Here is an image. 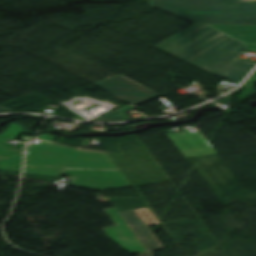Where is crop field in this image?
<instances>
[{
  "label": "crop field",
  "mask_w": 256,
  "mask_h": 256,
  "mask_svg": "<svg viewBox=\"0 0 256 256\" xmlns=\"http://www.w3.org/2000/svg\"><path fill=\"white\" fill-rule=\"evenodd\" d=\"M9 158H10V157L0 156V162H1V159L7 160V159H9Z\"/></svg>",
  "instance_id": "crop-field-13"
},
{
  "label": "crop field",
  "mask_w": 256,
  "mask_h": 256,
  "mask_svg": "<svg viewBox=\"0 0 256 256\" xmlns=\"http://www.w3.org/2000/svg\"><path fill=\"white\" fill-rule=\"evenodd\" d=\"M76 151L95 152V151L83 150V149H79V148H77ZM99 153H106V152H99Z\"/></svg>",
  "instance_id": "crop-field-12"
},
{
  "label": "crop field",
  "mask_w": 256,
  "mask_h": 256,
  "mask_svg": "<svg viewBox=\"0 0 256 256\" xmlns=\"http://www.w3.org/2000/svg\"><path fill=\"white\" fill-rule=\"evenodd\" d=\"M184 158L217 154L206 139L173 143Z\"/></svg>",
  "instance_id": "crop-field-9"
},
{
  "label": "crop field",
  "mask_w": 256,
  "mask_h": 256,
  "mask_svg": "<svg viewBox=\"0 0 256 256\" xmlns=\"http://www.w3.org/2000/svg\"><path fill=\"white\" fill-rule=\"evenodd\" d=\"M93 85L133 106L161 96L123 76Z\"/></svg>",
  "instance_id": "crop-field-5"
},
{
  "label": "crop field",
  "mask_w": 256,
  "mask_h": 256,
  "mask_svg": "<svg viewBox=\"0 0 256 256\" xmlns=\"http://www.w3.org/2000/svg\"><path fill=\"white\" fill-rule=\"evenodd\" d=\"M151 6L193 23L256 25V1L151 0Z\"/></svg>",
  "instance_id": "crop-field-2"
},
{
  "label": "crop field",
  "mask_w": 256,
  "mask_h": 256,
  "mask_svg": "<svg viewBox=\"0 0 256 256\" xmlns=\"http://www.w3.org/2000/svg\"><path fill=\"white\" fill-rule=\"evenodd\" d=\"M23 130L24 129L21 125L11 123L0 134V142L6 138L16 140ZM0 155L12 157L7 161L2 160L0 170L21 171L23 151L0 145Z\"/></svg>",
  "instance_id": "crop-field-7"
},
{
  "label": "crop field",
  "mask_w": 256,
  "mask_h": 256,
  "mask_svg": "<svg viewBox=\"0 0 256 256\" xmlns=\"http://www.w3.org/2000/svg\"><path fill=\"white\" fill-rule=\"evenodd\" d=\"M127 223L130 225L132 230L135 232L137 237L140 239L144 247L149 250L159 249L161 248L155 238L148 231L143 222L136 215L134 210H129L125 212H120Z\"/></svg>",
  "instance_id": "crop-field-8"
},
{
  "label": "crop field",
  "mask_w": 256,
  "mask_h": 256,
  "mask_svg": "<svg viewBox=\"0 0 256 256\" xmlns=\"http://www.w3.org/2000/svg\"><path fill=\"white\" fill-rule=\"evenodd\" d=\"M171 142L205 138L201 132L182 135L181 133L167 135Z\"/></svg>",
  "instance_id": "crop-field-11"
},
{
  "label": "crop field",
  "mask_w": 256,
  "mask_h": 256,
  "mask_svg": "<svg viewBox=\"0 0 256 256\" xmlns=\"http://www.w3.org/2000/svg\"><path fill=\"white\" fill-rule=\"evenodd\" d=\"M6 116H10V115H6ZM0 117H3V116H0Z\"/></svg>",
  "instance_id": "crop-field-16"
},
{
  "label": "crop field",
  "mask_w": 256,
  "mask_h": 256,
  "mask_svg": "<svg viewBox=\"0 0 256 256\" xmlns=\"http://www.w3.org/2000/svg\"><path fill=\"white\" fill-rule=\"evenodd\" d=\"M154 48L239 83L256 65L236 59L256 50V26L194 24Z\"/></svg>",
  "instance_id": "crop-field-1"
},
{
  "label": "crop field",
  "mask_w": 256,
  "mask_h": 256,
  "mask_svg": "<svg viewBox=\"0 0 256 256\" xmlns=\"http://www.w3.org/2000/svg\"><path fill=\"white\" fill-rule=\"evenodd\" d=\"M117 225L116 227L106 228L104 231L110 239L123 247L131 254L146 252L134 232L116 210V208L105 210Z\"/></svg>",
  "instance_id": "crop-field-6"
},
{
  "label": "crop field",
  "mask_w": 256,
  "mask_h": 256,
  "mask_svg": "<svg viewBox=\"0 0 256 256\" xmlns=\"http://www.w3.org/2000/svg\"><path fill=\"white\" fill-rule=\"evenodd\" d=\"M146 226L160 224L149 208L135 210Z\"/></svg>",
  "instance_id": "crop-field-10"
},
{
  "label": "crop field",
  "mask_w": 256,
  "mask_h": 256,
  "mask_svg": "<svg viewBox=\"0 0 256 256\" xmlns=\"http://www.w3.org/2000/svg\"><path fill=\"white\" fill-rule=\"evenodd\" d=\"M74 150L43 141L32 144L26 149L24 174L58 176L64 168L119 170L108 154Z\"/></svg>",
  "instance_id": "crop-field-3"
},
{
  "label": "crop field",
  "mask_w": 256,
  "mask_h": 256,
  "mask_svg": "<svg viewBox=\"0 0 256 256\" xmlns=\"http://www.w3.org/2000/svg\"><path fill=\"white\" fill-rule=\"evenodd\" d=\"M0 112H10V111H8V110L3 109V108L0 107Z\"/></svg>",
  "instance_id": "crop-field-14"
},
{
  "label": "crop field",
  "mask_w": 256,
  "mask_h": 256,
  "mask_svg": "<svg viewBox=\"0 0 256 256\" xmlns=\"http://www.w3.org/2000/svg\"><path fill=\"white\" fill-rule=\"evenodd\" d=\"M61 175L73 177L71 186L101 191L131 186L122 171L64 169Z\"/></svg>",
  "instance_id": "crop-field-4"
},
{
  "label": "crop field",
  "mask_w": 256,
  "mask_h": 256,
  "mask_svg": "<svg viewBox=\"0 0 256 256\" xmlns=\"http://www.w3.org/2000/svg\"><path fill=\"white\" fill-rule=\"evenodd\" d=\"M140 256H149V252L140 254Z\"/></svg>",
  "instance_id": "crop-field-15"
}]
</instances>
